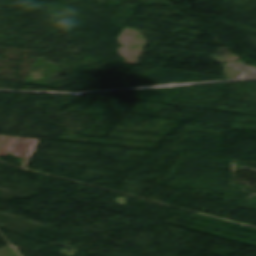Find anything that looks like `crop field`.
Returning <instances> with one entry per match:
<instances>
[{
	"label": "crop field",
	"mask_w": 256,
	"mask_h": 256,
	"mask_svg": "<svg viewBox=\"0 0 256 256\" xmlns=\"http://www.w3.org/2000/svg\"><path fill=\"white\" fill-rule=\"evenodd\" d=\"M0 137H2V136H0ZM6 138H7V137H2V138H1V140H0V146H1L2 143L5 141ZM17 139H18V138H12V137H10V138L7 140V142L3 145V147H2V149H1V151H0V155H7L8 152H9V151L11 150V148L13 147V145L16 143ZM36 142H37V140H34L32 146H31V148H30L31 151L29 152L27 158L25 159V161H24V163H23V165H24L25 167H27V164H28V162H29V160H30V157H31V154H32V151H33V148H34Z\"/></svg>",
	"instance_id": "crop-field-1"
},
{
	"label": "crop field",
	"mask_w": 256,
	"mask_h": 256,
	"mask_svg": "<svg viewBox=\"0 0 256 256\" xmlns=\"http://www.w3.org/2000/svg\"><path fill=\"white\" fill-rule=\"evenodd\" d=\"M33 140L20 139L17 145L10 152L16 156L26 158Z\"/></svg>",
	"instance_id": "crop-field-2"
}]
</instances>
